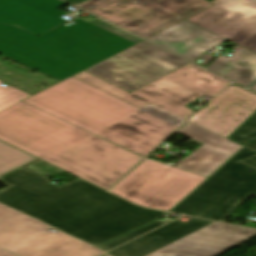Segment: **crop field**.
<instances>
[{
	"label": "crop field",
	"instance_id": "d1516ede",
	"mask_svg": "<svg viewBox=\"0 0 256 256\" xmlns=\"http://www.w3.org/2000/svg\"><path fill=\"white\" fill-rule=\"evenodd\" d=\"M255 234V229L214 222L146 256H216Z\"/></svg>",
	"mask_w": 256,
	"mask_h": 256
},
{
	"label": "crop field",
	"instance_id": "dafd665d",
	"mask_svg": "<svg viewBox=\"0 0 256 256\" xmlns=\"http://www.w3.org/2000/svg\"><path fill=\"white\" fill-rule=\"evenodd\" d=\"M162 223H164V222H161V221H158V220L153 221V222H151V223H149V224H147V225H145V226H143L139 229H136V230H134V231L118 238V239H115V240H113V241H111V242H109V243H107V244H105V245H103L99 248L104 250V251L108 250V249H110V248H112V247H114V246H116V245H118V244H120L124 241H127V240H129V239H131V238H133V237H135V236H137V235H139V234H141L145 231H148V230H150V229H152V228H154V227H156V226H158Z\"/></svg>",
	"mask_w": 256,
	"mask_h": 256
},
{
	"label": "crop field",
	"instance_id": "28ad6ade",
	"mask_svg": "<svg viewBox=\"0 0 256 256\" xmlns=\"http://www.w3.org/2000/svg\"><path fill=\"white\" fill-rule=\"evenodd\" d=\"M214 6L186 19L256 52V0H214Z\"/></svg>",
	"mask_w": 256,
	"mask_h": 256
},
{
	"label": "crop field",
	"instance_id": "00972430",
	"mask_svg": "<svg viewBox=\"0 0 256 256\" xmlns=\"http://www.w3.org/2000/svg\"><path fill=\"white\" fill-rule=\"evenodd\" d=\"M243 145L256 151V138L243 144ZM241 162L256 168V156L252 157V158L245 159V160H241Z\"/></svg>",
	"mask_w": 256,
	"mask_h": 256
},
{
	"label": "crop field",
	"instance_id": "92a150f3",
	"mask_svg": "<svg viewBox=\"0 0 256 256\" xmlns=\"http://www.w3.org/2000/svg\"><path fill=\"white\" fill-rule=\"evenodd\" d=\"M27 96V94L16 90L10 86H7L5 88L0 86V111L19 102L21 99Z\"/></svg>",
	"mask_w": 256,
	"mask_h": 256
},
{
	"label": "crop field",
	"instance_id": "5142ce71",
	"mask_svg": "<svg viewBox=\"0 0 256 256\" xmlns=\"http://www.w3.org/2000/svg\"><path fill=\"white\" fill-rule=\"evenodd\" d=\"M60 0H0V22L17 25L40 35L66 22L58 7Z\"/></svg>",
	"mask_w": 256,
	"mask_h": 256
},
{
	"label": "crop field",
	"instance_id": "34b2d1b8",
	"mask_svg": "<svg viewBox=\"0 0 256 256\" xmlns=\"http://www.w3.org/2000/svg\"><path fill=\"white\" fill-rule=\"evenodd\" d=\"M24 102L143 157L184 122L150 104L138 110L73 77Z\"/></svg>",
	"mask_w": 256,
	"mask_h": 256
},
{
	"label": "crop field",
	"instance_id": "bc2a9ffb",
	"mask_svg": "<svg viewBox=\"0 0 256 256\" xmlns=\"http://www.w3.org/2000/svg\"><path fill=\"white\" fill-rule=\"evenodd\" d=\"M35 158L0 141V175Z\"/></svg>",
	"mask_w": 256,
	"mask_h": 256
},
{
	"label": "crop field",
	"instance_id": "d8731c3e",
	"mask_svg": "<svg viewBox=\"0 0 256 256\" xmlns=\"http://www.w3.org/2000/svg\"><path fill=\"white\" fill-rule=\"evenodd\" d=\"M204 179L145 159L111 192L142 206L168 211Z\"/></svg>",
	"mask_w": 256,
	"mask_h": 256
},
{
	"label": "crop field",
	"instance_id": "e52e79f7",
	"mask_svg": "<svg viewBox=\"0 0 256 256\" xmlns=\"http://www.w3.org/2000/svg\"><path fill=\"white\" fill-rule=\"evenodd\" d=\"M211 5L205 0H91L79 7L145 39Z\"/></svg>",
	"mask_w": 256,
	"mask_h": 256
},
{
	"label": "crop field",
	"instance_id": "4a817a6b",
	"mask_svg": "<svg viewBox=\"0 0 256 256\" xmlns=\"http://www.w3.org/2000/svg\"><path fill=\"white\" fill-rule=\"evenodd\" d=\"M229 58L219 55L207 69L244 87L256 78V54L238 45Z\"/></svg>",
	"mask_w": 256,
	"mask_h": 256
},
{
	"label": "crop field",
	"instance_id": "3316defc",
	"mask_svg": "<svg viewBox=\"0 0 256 256\" xmlns=\"http://www.w3.org/2000/svg\"><path fill=\"white\" fill-rule=\"evenodd\" d=\"M187 63L142 41L85 71L131 92Z\"/></svg>",
	"mask_w": 256,
	"mask_h": 256
},
{
	"label": "crop field",
	"instance_id": "ac0d7876",
	"mask_svg": "<svg viewBox=\"0 0 256 256\" xmlns=\"http://www.w3.org/2000/svg\"><path fill=\"white\" fill-rule=\"evenodd\" d=\"M0 140L105 189L142 159L22 102L0 112Z\"/></svg>",
	"mask_w": 256,
	"mask_h": 256
},
{
	"label": "crop field",
	"instance_id": "214f88e0",
	"mask_svg": "<svg viewBox=\"0 0 256 256\" xmlns=\"http://www.w3.org/2000/svg\"><path fill=\"white\" fill-rule=\"evenodd\" d=\"M256 137V113L228 138L243 144Z\"/></svg>",
	"mask_w": 256,
	"mask_h": 256
},
{
	"label": "crop field",
	"instance_id": "d3111659",
	"mask_svg": "<svg viewBox=\"0 0 256 256\" xmlns=\"http://www.w3.org/2000/svg\"><path fill=\"white\" fill-rule=\"evenodd\" d=\"M105 256H108V255H105Z\"/></svg>",
	"mask_w": 256,
	"mask_h": 256
},
{
	"label": "crop field",
	"instance_id": "f4fd0767",
	"mask_svg": "<svg viewBox=\"0 0 256 256\" xmlns=\"http://www.w3.org/2000/svg\"><path fill=\"white\" fill-rule=\"evenodd\" d=\"M73 77L138 109L151 103L184 120L195 112L185 104L203 95L212 98L229 83L191 63L131 93L85 71Z\"/></svg>",
	"mask_w": 256,
	"mask_h": 256
},
{
	"label": "crop field",
	"instance_id": "733c2abd",
	"mask_svg": "<svg viewBox=\"0 0 256 256\" xmlns=\"http://www.w3.org/2000/svg\"><path fill=\"white\" fill-rule=\"evenodd\" d=\"M180 221L177 219L108 253L113 256H144L213 222L195 218Z\"/></svg>",
	"mask_w": 256,
	"mask_h": 256
},
{
	"label": "crop field",
	"instance_id": "730fd06b",
	"mask_svg": "<svg viewBox=\"0 0 256 256\" xmlns=\"http://www.w3.org/2000/svg\"><path fill=\"white\" fill-rule=\"evenodd\" d=\"M0 256H13V255H11V254H9V253L0 249Z\"/></svg>",
	"mask_w": 256,
	"mask_h": 256
},
{
	"label": "crop field",
	"instance_id": "cbeb9de0",
	"mask_svg": "<svg viewBox=\"0 0 256 256\" xmlns=\"http://www.w3.org/2000/svg\"><path fill=\"white\" fill-rule=\"evenodd\" d=\"M178 132L202 143L188 158L176 167L208 177L242 146L187 122ZM177 132V133H178Z\"/></svg>",
	"mask_w": 256,
	"mask_h": 256
},
{
	"label": "crop field",
	"instance_id": "d9b57169",
	"mask_svg": "<svg viewBox=\"0 0 256 256\" xmlns=\"http://www.w3.org/2000/svg\"><path fill=\"white\" fill-rule=\"evenodd\" d=\"M146 40L161 46L190 61L197 58L203 51L217 45L222 47L234 45L222 42L227 41L215 36L185 20L147 38Z\"/></svg>",
	"mask_w": 256,
	"mask_h": 256
},
{
	"label": "crop field",
	"instance_id": "4177f3b9",
	"mask_svg": "<svg viewBox=\"0 0 256 256\" xmlns=\"http://www.w3.org/2000/svg\"><path fill=\"white\" fill-rule=\"evenodd\" d=\"M66 1H68V2H70V3H72V4H74V5H76V4H78V3H80V2H82V1H84V0H66Z\"/></svg>",
	"mask_w": 256,
	"mask_h": 256
},
{
	"label": "crop field",
	"instance_id": "22f410ed",
	"mask_svg": "<svg viewBox=\"0 0 256 256\" xmlns=\"http://www.w3.org/2000/svg\"><path fill=\"white\" fill-rule=\"evenodd\" d=\"M224 91L189 122L226 137L256 110L255 94L236 85Z\"/></svg>",
	"mask_w": 256,
	"mask_h": 256
},
{
	"label": "crop field",
	"instance_id": "412701ff",
	"mask_svg": "<svg viewBox=\"0 0 256 256\" xmlns=\"http://www.w3.org/2000/svg\"><path fill=\"white\" fill-rule=\"evenodd\" d=\"M36 37L0 24V54L60 81L134 45L76 18Z\"/></svg>",
	"mask_w": 256,
	"mask_h": 256
},
{
	"label": "crop field",
	"instance_id": "8a807250",
	"mask_svg": "<svg viewBox=\"0 0 256 256\" xmlns=\"http://www.w3.org/2000/svg\"><path fill=\"white\" fill-rule=\"evenodd\" d=\"M0 179L11 184L0 190V203L93 246L165 214L137 207L78 178L57 188L21 167Z\"/></svg>",
	"mask_w": 256,
	"mask_h": 256
},
{
	"label": "crop field",
	"instance_id": "a9b5d70f",
	"mask_svg": "<svg viewBox=\"0 0 256 256\" xmlns=\"http://www.w3.org/2000/svg\"><path fill=\"white\" fill-rule=\"evenodd\" d=\"M213 57L212 56H210L208 53H205V54H203L199 59H202V60H205L203 63H201V64H199V63H197V64H199V65H201V66H203V67H205L208 63H209V61L212 59ZM196 63V62H195Z\"/></svg>",
	"mask_w": 256,
	"mask_h": 256
},
{
	"label": "crop field",
	"instance_id": "5a996713",
	"mask_svg": "<svg viewBox=\"0 0 256 256\" xmlns=\"http://www.w3.org/2000/svg\"><path fill=\"white\" fill-rule=\"evenodd\" d=\"M0 205V247L19 256H96L101 252Z\"/></svg>",
	"mask_w": 256,
	"mask_h": 256
},
{
	"label": "crop field",
	"instance_id": "ae1a2a85",
	"mask_svg": "<svg viewBox=\"0 0 256 256\" xmlns=\"http://www.w3.org/2000/svg\"><path fill=\"white\" fill-rule=\"evenodd\" d=\"M245 1L249 2V1H252V0H245Z\"/></svg>",
	"mask_w": 256,
	"mask_h": 256
},
{
	"label": "crop field",
	"instance_id": "dd49c442",
	"mask_svg": "<svg viewBox=\"0 0 256 256\" xmlns=\"http://www.w3.org/2000/svg\"><path fill=\"white\" fill-rule=\"evenodd\" d=\"M255 155L244 147L171 211L223 221L250 193L256 195V169L238 161Z\"/></svg>",
	"mask_w": 256,
	"mask_h": 256
},
{
	"label": "crop field",
	"instance_id": "eef30255",
	"mask_svg": "<svg viewBox=\"0 0 256 256\" xmlns=\"http://www.w3.org/2000/svg\"><path fill=\"white\" fill-rule=\"evenodd\" d=\"M250 89L256 91V83Z\"/></svg>",
	"mask_w": 256,
	"mask_h": 256
}]
</instances>
